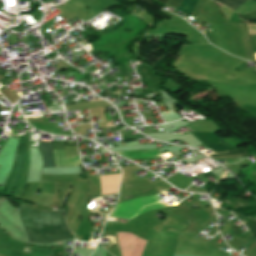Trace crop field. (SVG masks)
Listing matches in <instances>:
<instances>
[{"label": "crop field", "mask_w": 256, "mask_h": 256, "mask_svg": "<svg viewBox=\"0 0 256 256\" xmlns=\"http://www.w3.org/2000/svg\"><path fill=\"white\" fill-rule=\"evenodd\" d=\"M19 212L29 240L53 243L74 239L62 211H37L22 205Z\"/></svg>", "instance_id": "crop-field-1"}, {"label": "crop field", "mask_w": 256, "mask_h": 256, "mask_svg": "<svg viewBox=\"0 0 256 256\" xmlns=\"http://www.w3.org/2000/svg\"><path fill=\"white\" fill-rule=\"evenodd\" d=\"M163 207L169 205L161 202L156 195L139 197L119 203L110 216L131 220L144 212Z\"/></svg>", "instance_id": "crop-field-2"}, {"label": "crop field", "mask_w": 256, "mask_h": 256, "mask_svg": "<svg viewBox=\"0 0 256 256\" xmlns=\"http://www.w3.org/2000/svg\"><path fill=\"white\" fill-rule=\"evenodd\" d=\"M122 256H141L146 242L130 235L116 233Z\"/></svg>", "instance_id": "crop-field-3"}, {"label": "crop field", "mask_w": 256, "mask_h": 256, "mask_svg": "<svg viewBox=\"0 0 256 256\" xmlns=\"http://www.w3.org/2000/svg\"><path fill=\"white\" fill-rule=\"evenodd\" d=\"M120 174L100 176L102 195L117 190Z\"/></svg>", "instance_id": "crop-field-4"}, {"label": "crop field", "mask_w": 256, "mask_h": 256, "mask_svg": "<svg viewBox=\"0 0 256 256\" xmlns=\"http://www.w3.org/2000/svg\"><path fill=\"white\" fill-rule=\"evenodd\" d=\"M119 155L129 159H148V158H158L160 157L158 150H146V151H124V152H116Z\"/></svg>", "instance_id": "crop-field-5"}, {"label": "crop field", "mask_w": 256, "mask_h": 256, "mask_svg": "<svg viewBox=\"0 0 256 256\" xmlns=\"http://www.w3.org/2000/svg\"><path fill=\"white\" fill-rule=\"evenodd\" d=\"M39 150L43 159V166L55 167L53 160V144L39 143Z\"/></svg>", "instance_id": "crop-field-6"}, {"label": "crop field", "mask_w": 256, "mask_h": 256, "mask_svg": "<svg viewBox=\"0 0 256 256\" xmlns=\"http://www.w3.org/2000/svg\"><path fill=\"white\" fill-rule=\"evenodd\" d=\"M232 10H236L239 6H241L246 0H215Z\"/></svg>", "instance_id": "crop-field-7"}, {"label": "crop field", "mask_w": 256, "mask_h": 256, "mask_svg": "<svg viewBox=\"0 0 256 256\" xmlns=\"http://www.w3.org/2000/svg\"><path fill=\"white\" fill-rule=\"evenodd\" d=\"M180 1H181V0H169V1L167 2V4H169V5H171V6L175 7V8H177V6H178V4L180 3Z\"/></svg>", "instance_id": "crop-field-8"}, {"label": "crop field", "mask_w": 256, "mask_h": 256, "mask_svg": "<svg viewBox=\"0 0 256 256\" xmlns=\"http://www.w3.org/2000/svg\"><path fill=\"white\" fill-rule=\"evenodd\" d=\"M244 16L247 17V18L256 17V11H253V12L247 14V15H244Z\"/></svg>", "instance_id": "crop-field-9"}, {"label": "crop field", "mask_w": 256, "mask_h": 256, "mask_svg": "<svg viewBox=\"0 0 256 256\" xmlns=\"http://www.w3.org/2000/svg\"><path fill=\"white\" fill-rule=\"evenodd\" d=\"M249 20H251V21H253V22H256V18H251V19H249Z\"/></svg>", "instance_id": "crop-field-10"}, {"label": "crop field", "mask_w": 256, "mask_h": 256, "mask_svg": "<svg viewBox=\"0 0 256 256\" xmlns=\"http://www.w3.org/2000/svg\"><path fill=\"white\" fill-rule=\"evenodd\" d=\"M158 1H161V2H164V3H166L168 0H158Z\"/></svg>", "instance_id": "crop-field-11"}, {"label": "crop field", "mask_w": 256, "mask_h": 256, "mask_svg": "<svg viewBox=\"0 0 256 256\" xmlns=\"http://www.w3.org/2000/svg\"><path fill=\"white\" fill-rule=\"evenodd\" d=\"M256 2V0H254Z\"/></svg>", "instance_id": "crop-field-12"}]
</instances>
